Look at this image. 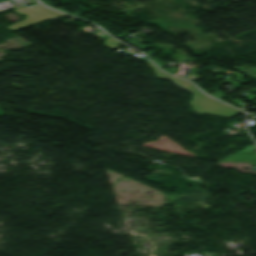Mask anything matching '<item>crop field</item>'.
I'll return each mask as SVG.
<instances>
[{"mask_svg": "<svg viewBox=\"0 0 256 256\" xmlns=\"http://www.w3.org/2000/svg\"><path fill=\"white\" fill-rule=\"evenodd\" d=\"M155 72L157 78H163V79H168V75L158 71L154 65L151 63H147ZM174 81L176 85L179 87L193 93V100L189 102V104L192 106V111L195 113H206L210 115H218V116H223L230 118L241 111L234 109L232 107H229L223 103H220L216 100H213L203 93H201L199 90H197L195 87H193L191 84H189L186 81L177 79L172 77L171 79Z\"/></svg>", "mask_w": 256, "mask_h": 256, "instance_id": "1", "label": "crop field"}, {"mask_svg": "<svg viewBox=\"0 0 256 256\" xmlns=\"http://www.w3.org/2000/svg\"><path fill=\"white\" fill-rule=\"evenodd\" d=\"M15 11H17L19 13H23V14H28V16L23 21L14 23L11 26H7L8 28H11L14 30H17V29L26 27L28 25L46 20L48 18H54V17L60 16V15H63L59 12L50 10L40 4L15 9ZM30 16H32L33 18L32 19L28 18Z\"/></svg>", "mask_w": 256, "mask_h": 256, "instance_id": "2", "label": "crop field"}, {"mask_svg": "<svg viewBox=\"0 0 256 256\" xmlns=\"http://www.w3.org/2000/svg\"><path fill=\"white\" fill-rule=\"evenodd\" d=\"M254 146L249 145L248 147L240 150L239 152L223 159L222 161H231V162H246V161H256V151H254ZM240 152H245L241 154ZM250 152V153H248ZM221 162V161H220ZM256 164V163H249Z\"/></svg>", "mask_w": 256, "mask_h": 256, "instance_id": "3", "label": "crop field"}, {"mask_svg": "<svg viewBox=\"0 0 256 256\" xmlns=\"http://www.w3.org/2000/svg\"><path fill=\"white\" fill-rule=\"evenodd\" d=\"M104 44H105L107 47L114 49V48H116L117 46L121 45L122 43H120V42H118V41H116V40H114V39H112V38H109V39L105 40Z\"/></svg>", "mask_w": 256, "mask_h": 256, "instance_id": "4", "label": "crop field"}]
</instances>
